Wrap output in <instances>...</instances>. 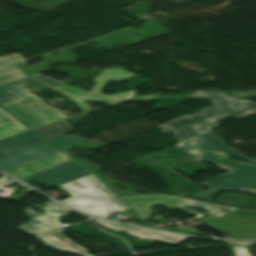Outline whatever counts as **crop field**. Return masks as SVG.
Masks as SVG:
<instances>
[{
    "label": "crop field",
    "mask_w": 256,
    "mask_h": 256,
    "mask_svg": "<svg viewBox=\"0 0 256 256\" xmlns=\"http://www.w3.org/2000/svg\"><path fill=\"white\" fill-rule=\"evenodd\" d=\"M175 149L201 160L206 159L218 167L230 170L229 174H221L200 185L209 188L200 198H210L219 191L239 190L256 194V159L241 154L238 148L231 149L223 139L211 130L194 137L179 141ZM228 157L245 158L248 163L232 160Z\"/></svg>",
    "instance_id": "obj_1"
},
{
    "label": "crop field",
    "mask_w": 256,
    "mask_h": 256,
    "mask_svg": "<svg viewBox=\"0 0 256 256\" xmlns=\"http://www.w3.org/2000/svg\"><path fill=\"white\" fill-rule=\"evenodd\" d=\"M73 182H78V186ZM67 191L72 196L61 202L96 217L108 218L128 208L119 197L108 189L94 174L55 187Z\"/></svg>",
    "instance_id": "obj_2"
},
{
    "label": "crop field",
    "mask_w": 256,
    "mask_h": 256,
    "mask_svg": "<svg viewBox=\"0 0 256 256\" xmlns=\"http://www.w3.org/2000/svg\"><path fill=\"white\" fill-rule=\"evenodd\" d=\"M131 73V72H130ZM129 72L114 68H106L101 72V75L94 78L93 80L96 82L92 87L94 93H89V92H84L82 90H79L77 88L67 86V85H61L59 87L54 88L55 90L63 93L64 95L68 96L73 100V102L79 106L84 112L89 111V107L83 102L84 100H99L103 102H107L110 104H115L119 103L125 100L131 99L132 95L134 94L135 91H127V92H122L110 96H104L100 93H98L101 88L103 87L104 83L109 80V79H114V80H123L125 78L133 76Z\"/></svg>",
    "instance_id": "obj_3"
},
{
    "label": "crop field",
    "mask_w": 256,
    "mask_h": 256,
    "mask_svg": "<svg viewBox=\"0 0 256 256\" xmlns=\"http://www.w3.org/2000/svg\"><path fill=\"white\" fill-rule=\"evenodd\" d=\"M206 225L235 238H256V211L235 209Z\"/></svg>",
    "instance_id": "obj_4"
},
{
    "label": "crop field",
    "mask_w": 256,
    "mask_h": 256,
    "mask_svg": "<svg viewBox=\"0 0 256 256\" xmlns=\"http://www.w3.org/2000/svg\"><path fill=\"white\" fill-rule=\"evenodd\" d=\"M43 205L47 206L46 208L41 207L45 209L44 212H46V215H44L43 213H36L28 209V207H24L25 213L27 216L30 217L31 221L29 223H23L15 228L19 231L39 237L43 234L52 232L62 227L61 226L62 224L58 223L60 218H58L57 216L67 215L65 213L71 210L52 200L49 201L48 203H44ZM60 211H62L63 213H59ZM51 215H54V216L52 217Z\"/></svg>",
    "instance_id": "obj_5"
},
{
    "label": "crop field",
    "mask_w": 256,
    "mask_h": 256,
    "mask_svg": "<svg viewBox=\"0 0 256 256\" xmlns=\"http://www.w3.org/2000/svg\"><path fill=\"white\" fill-rule=\"evenodd\" d=\"M23 99H26L36 104L31 106H38L40 109L23 106V105H30V104L16 103L17 101L23 100ZM2 106H4L9 111H11L16 116H18L22 121H24L30 127L65 117L60 110L45 106L44 102L41 99L35 97L32 94H30L27 97H23V98L16 99L8 103L2 104ZM48 115H51L52 117H48Z\"/></svg>",
    "instance_id": "obj_6"
},
{
    "label": "crop field",
    "mask_w": 256,
    "mask_h": 256,
    "mask_svg": "<svg viewBox=\"0 0 256 256\" xmlns=\"http://www.w3.org/2000/svg\"><path fill=\"white\" fill-rule=\"evenodd\" d=\"M193 96H197L200 98L208 99L214 102H218L215 105L205 108V110L215 113L220 111L225 114L236 115L244 117L246 115H250L256 113V102L247 101V100H238L233 97L227 96L225 97L223 92L206 89L205 91H195ZM249 112L245 114L243 112Z\"/></svg>",
    "instance_id": "obj_7"
},
{
    "label": "crop field",
    "mask_w": 256,
    "mask_h": 256,
    "mask_svg": "<svg viewBox=\"0 0 256 256\" xmlns=\"http://www.w3.org/2000/svg\"><path fill=\"white\" fill-rule=\"evenodd\" d=\"M88 174H91V172L85 170L76 163L68 161L66 163L44 170L21 180L35 188L38 187L29 182L34 181L41 183L46 181L51 186L55 187Z\"/></svg>",
    "instance_id": "obj_8"
},
{
    "label": "crop field",
    "mask_w": 256,
    "mask_h": 256,
    "mask_svg": "<svg viewBox=\"0 0 256 256\" xmlns=\"http://www.w3.org/2000/svg\"><path fill=\"white\" fill-rule=\"evenodd\" d=\"M207 119L210 121V123L206 122ZM210 125L219 126L220 124L207 118V116L198 113L196 115L187 114L160 126L164 128L162 131L165 133L173 130L177 141H179L208 131V126Z\"/></svg>",
    "instance_id": "obj_9"
},
{
    "label": "crop field",
    "mask_w": 256,
    "mask_h": 256,
    "mask_svg": "<svg viewBox=\"0 0 256 256\" xmlns=\"http://www.w3.org/2000/svg\"><path fill=\"white\" fill-rule=\"evenodd\" d=\"M125 200V202L132 207L137 213L141 220H146L147 217L152 214L149 207L151 204L159 203L165 204L169 208H176L180 202L184 199L182 197H174L167 195H130V196H120Z\"/></svg>",
    "instance_id": "obj_10"
},
{
    "label": "crop field",
    "mask_w": 256,
    "mask_h": 256,
    "mask_svg": "<svg viewBox=\"0 0 256 256\" xmlns=\"http://www.w3.org/2000/svg\"><path fill=\"white\" fill-rule=\"evenodd\" d=\"M57 151L45 141L0 159V170L7 172L35 159Z\"/></svg>",
    "instance_id": "obj_11"
},
{
    "label": "crop field",
    "mask_w": 256,
    "mask_h": 256,
    "mask_svg": "<svg viewBox=\"0 0 256 256\" xmlns=\"http://www.w3.org/2000/svg\"><path fill=\"white\" fill-rule=\"evenodd\" d=\"M152 23H155L156 25H153ZM137 29H141V28L126 29V30L118 32L116 34L109 35L108 37L100 38V39H103L102 41H100V39H97L94 41L99 42L100 43L99 45L102 44V45L110 47V46H112V44L119 42V41L111 39L112 37L123 39L120 42H122L124 44H129V43H131V41H136L133 39L134 37L133 38L129 37L131 35H134L135 37H140L141 40H145V39L169 32L166 28H164L157 21H155L151 18L146 20V23L143 27L144 33H138ZM106 41H108L112 44L109 45V44L105 43Z\"/></svg>",
    "instance_id": "obj_12"
},
{
    "label": "crop field",
    "mask_w": 256,
    "mask_h": 256,
    "mask_svg": "<svg viewBox=\"0 0 256 256\" xmlns=\"http://www.w3.org/2000/svg\"><path fill=\"white\" fill-rule=\"evenodd\" d=\"M93 220H95V219H91V221H93ZM95 221H96L95 222L96 224L110 228L112 230L119 231V230L123 229V230L128 231V233L135 235L137 237L151 239V240L158 238V239L163 240L172 245H175L187 238L186 236H180V235L158 232V231L142 229V228H137V227H131V226H124V225H121L119 223H114V222H105V221H100V220H95Z\"/></svg>",
    "instance_id": "obj_13"
},
{
    "label": "crop field",
    "mask_w": 256,
    "mask_h": 256,
    "mask_svg": "<svg viewBox=\"0 0 256 256\" xmlns=\"http://www.w3.org/2000/svg\"><path fill=\"white\" fill-rule=\"evenodd\" d=\"M65 161H68L67 157L61 151H57L36 161L11 170L7 173L18 179H21Z\"/></svg>",
    "instance_id": "obj_14"
},
{
    "label": "crop field",
    "mask_w": 256,
    "mask_h": 256,
    "mask_svg": "<svg viewBox=\"0 0 256 256\" xmlns=\"http://www.w3.org/2000/svg\"><path fill=\"white\" fill-rule=\"evenodd\" d=\"M43 141L31 130L0 140V158Z\"/></svg>",
    "instance_id": "obj_15"
},
{
    "label": "crop field",
    "mask_w": 256,
    "mask_h": 256,
    "mask_svg": "<svg viewBox=\"0 0 256 256\" xmlns=\"http://www.w3.org/2000/svg\"><path fill=\"white\" fill-rule=\"evenodd\" d=\"M44 60L46 62H38L35 65L40 66L39 68L35 69L31 66L24 67L21 63L16 64V66L21 70V72L26 76H31L43 71L50 70L47 68L52 62H57V63H64V64H69L74 61L75 57L73 54L63 50L59 52L58 56H53L51 54L43 56Z\"/></svg>",
    "instance_id": "obj_16"
},
{
    "label": "crop field",
    "mask_w": 256,
    "mask_h": 256,
    "mask_svg": "<svg viewBox=\"0 0 256 256\" xmlns=\"http://www.w3.org/2000/svg\"><path fill=\"white\" fill-rule=\"evenodd\" d=\"M28 92L30 91L25 88L22 79L12 83L2 85L0 86V104L10 101V99L6 97L8 95H12L16 98H20L23 96H27Z\"/></svg>",
    "instance_id": "obj_17"
},
{
    "label": "crop field",
    "mask_w": 256,
    "mask_h": 256,
    "mask_svg": "<svg viewBox=\"0 0 256 256\" xmlns=\"http://www.w3.org/2000/svg\"><path fill=\"white\" fill-rule=\"evenodd\" d=\"M24 129L27 127L0 108V136L10 135Z\"/></svg>",
    "instance_id": "obj_18"
},
{
    "label": "crop field",
    "mask_w": 256,
    "mask_h": 256,
    "mask_svg": "<svg viewBox=\"0 0 256 256\" xmlns=\"http://www.w3.org/2000/svg\"><path fill=\"white\" fill-rule=\"evenodd\" d=\"M42 240H44L42 243L56 251H59V249H62V251L60 252H65V251H69V252H73V253H77V254H81V255H85V256H92L86 252H83L79 249H77L76 247L70 245L69 243L59 239L58 237L50 234L46 237L41 238Z\"/></svg>",
    "instance_id": "obj_19"
},
{
    "label": "crop field",
    "mask_w": 256,
    "mask_h": 256,
    "mask_svg": "<svg viewBox=\"0 0 256 256\" xmlns=\"http://www.w3.org/2000/svg\"><path fill=\"white\" fill-rule=\"evenodd\" d=\"M74 160L79 161V162H80L81 164H83L87 169H89V170L95 172V173H96L106 184H108L109 186H110V183H113V182L120 183V182H118V181H115V180L110 179V178L106 177L105 175H103V174L99 171V169H100L101 166H99V165H93V164H91L90 162H88L87 160H85V159H83V158H76V159H74ZM120 184H122V183H120ZM123 185L130 191L129 193H121V192L115 190L114 188H112L111 186H110V187H111L118 195L136 194V193L131 189V187H130L129 185H126V184H123Z\"/></svg>",
    "instance_id": "obj_20"
},
{
    "label": "crop field",
    "mask_w": 256,
    "mask_h": 256,
    "mask_svg": "<svg viewBox=\"0 0 256 256\" xmlns=\"http://www.w3.org/2000/svg\"><path fill=\"white\" fill-rule=\"evenodd\" d=\"M83 140H86V138H84L80 135H76V134H74V135H64V134H61V135H59L55 138H52L48 141L62 150L64 148L68 147V146H71V145L76 144L78 142H81Z\"/></svg>",
    "instance_id": "obj_21"
},
{
    "label": "crop field",
    "mask_w": 256,
    "mask_h": 256,
    "mask_svg": "<svg viewBox=\"0 0 256 256\" xmlns=\"http://www.w3.org/2000/svg\"><path fill=\"white\" fill-rule=\"evenodd\" d=\"M25 76L20 72V70L15 66H10L0 70V85L12 82Z\"/></svg>",
    "instance_id": "obj_22"
},
{
    "label": "crop field",
    "mask_w": 256,
    "mask_h": 256,
    "mask_svg": "<svg viewBox=\"0 0 256 256\" xmlns=\"http://www.w3.org/2000/svg\"><path fill=\"white\" fill-rule=\"evenodd\" d=\"M194 206L209 209L212 205L211 204H204V203H201V202L196 201V200L185 198L182 201V203L178 206V208H181L184 212L194 216L196 213L199 212V211H197L196 209L193 208Z\"/></svg>",
    "instance_id": "obj_23"
},
{
    "label": "crop field",
    "mask_w": 256,
    "mask_h": 256,
    "mask_svg": "<svg viewBox=\"0 0 256 256\" xmlns=\"http://www.w3.org/2000/svg\"><path fill=\"white\" fill-rule=\"evenodd\" d=\"M58 122H61L63 124H65L66 126L70 127L71 126L68 124V122L65 120H62V121H58ZM56 123V122H54ZM33 130L35 132H37L40 136H42L44 139L48 140L54 136H57L61 133H57L55 131H53L51 128H50V124H47V125H43V126H40V127H37V128H33Z\"/></svg>",
    "instance_id": "obj_24"
},
{
    "label": "crop field",
    "mask_w": 256,
    "mask_h": 256,
    "mask_svg": "<svg viewBox=\"0 0 256 256\" xmlns=\"http://www.w3.org/2000/svg\"><path fill=\"white\" fill-rule=\"evenodd\" d=\"M149 5H150L149 3L141 2L139 4H136L134 6L124 9V11L128 12L129 14H131L133 16H135L139 13H142V15L140 17V18H142L146 15L145 12L150 10V8L148 7ZM140 18H138V19H140Z\"/></svg>",
    "instance_id": "obj_25"
},
{
    "label": "crop field",
    "mask_w": 256,
    "mask_h": 256,
    "mask_svg": "<svg viewBox=\"0 0 256 256\" xmlns=\"http://www.w3.org/2000/svg\"><path fill=\"white\" fill-rule=\"evenodd\" d=\"M28 78L34 79V80H36V81H38V82H40V83H42V84H44V85H46V86H48V87H52V88H54V87L59 86V85L62 84V83H60V82H58V81L49 79V78H47V77H45V76H42V75H40V74L31 76V77H28ZM25 79H26V78H25Z\"/></svg>",
    "instance_id": "obj_26"
},
{
    "label": "crop field",
    "mask_w": 256,
    "mask_h": 256,
    "mask_svg": "<svg viewBox=\"0 0 256 256\" xmlns=\"http://www.w3.org/2000/svg\"><path fill=\"white\" fill-rule=\"evenodd\" d=\"M235 208L233 207H225V206H218L214 205L212 209L208 212L211 217L217 218Z\"/></svg>",
    "instance_id": "obj_27"
},
{
    "label": "crop field",
    "mask_w": 256,
    "mask_h": 256,
    "mask_svg": "<svg viewBox=\"0 0 256 256\" xmlns=\"http://www.w3.org/2000/svg\"><path fill=\"white\" fill-rule=\"evenodd\" d=\"M81 143L96 144V145H100V147H102V146H104V145L107 144V143L95 142V141H90V140H86V141L81 142ZM74 146H77V147H84V148H92V149H98V148H100V147H96V146L83 145V144H76V145H74ZM74 146H71V147H69V148L63 150V151H65V152L68 154V156H69L70 158H72V159H74V157H73L68 151H69L72 147H74Z\"/></svg>",
    "instance_id": "obj_28"
},
{
    "label": "crop field",
    "mask_w": 256,
    "mask_h": 256,
    "mask_svg": "<svg viewBox=\"0 0 256 256\" xmlns=\"http://www.w3.org/2000/svg\"><path fill=\"white\" fill-rule=\"evenodd\" d=\"M24 60L21 58L19 55L14 54V55H8V56H2L0 57V67L4 65H8L17 61Z\"/></svg>",
    "instance_id": "obj_29"
},
{
    "label": "crop field",
    "mask_w": 256,
    "mask_h": 256,
    "mask_svg": "<svg viewBox=\"0 0 256 256\" xmlns=\"http://www.w3.org/2000/svg\"><path fill=\"white\" fill-rule=\"evenodd\" d=\"M231 249L233 250L235 256H251L244 247L234 246L231 247Z\"/></svg>",
    "instance_id": "obj_30"
},
{
    "label": "crop field",
    "mask_w": 256,
    "mask_h": 256,
    "mask_svg": "<svg viewBox=\"0 0 256 256\" xmlns=\"http://www.w3.org/2000/svg\"><path fill=\"white\" fill-rule=\"evenodd\" d=\"M222 116H227V117H233V118H237V119H240L241 117H236V116H230V115H225V114H221V113H216L213 117H211V119H220L222 120L221 118L219 117H222ZM215 121V120H214Z\"/></svg>",
    "instance_id": "obj_31"
},
{
    "label": "crop field",
    "mask_w": 256,
    "mask_h": 256,
    "mask_svg": "<svg viewBox=\"0 0 256 256\" xmlns=\"http://www.w3.org/2000/svg\"><path fill=\"white\" fill-rule=\"evenodd\" d=\"M230 243H236V244H240V245H244V246L256 244V242H230Z\"/></svg>",
    "instance_id": "obj_32"
},
{
    "label": "crop field",
    "mask_w": 256,
    "mask_h": 256,
    "mask_svg": "<svg viewBox=\"0 0 256 256\" xmlns=\"http://www.w3.org/2000/svg\"><path fill=\"white\" fill-rule=\"evenodd\" d=\"M21 187L24 188V189H22V190H20V191H22V192H24V193H28V192L32 191L31 189H29V188H27V187H25V186H21Z\"/></svg>",
    "instance_id": "obj_33"
},
{
    "label": "crop field",
    "mask_w": 256,
    "mask_h": 256,
    "mask_svg": "<svg viewBox=\"0 0 256 256\" xmlns=\"http://www.w3.org/2000/svg\"><path fill=\"white\" fill-rule=\"evenodd\" d=\"M8 179H9V178H7V177L4 176V177L0 178V181H2V180L8 181Z\"/></svg>",
    "instance_id": "obj_34"
}]
</instances>
